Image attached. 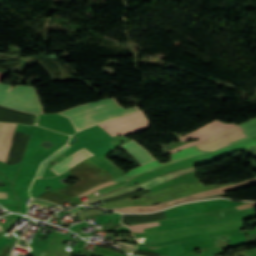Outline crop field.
Masks as SVG:
<instances>
[{"instance_id": "8a807250", "label": "crop field", "mask_w": 256, "mask_h": 256, "mask_svg": "<svg viewBox=\"0 0 256 256\" xmlns=\"http://www.w3.org/2000/svg\"><path fill=\"white\" fill-rule=\"evenodd\" d=\"M71 176L80 181L67 187L48 191L39 198L49 200L51 202H62L73 198L74 196L104 182L115 179L108 172L96 165L92 161L86 159L70 169Z\"/></svg>"}, {"instance_id": "ac0d7876", "label": "crop field", "mask_w": 256, "mask_h": 256, "mask_svg": "<svg viewBox=\"0 0 256 256\" xmlns=\"http://www.w3.org/2000/svg\"><path fill=\"white\" fill-rule=\"evenodd\" d=\"M137 110H139V108L136 106L124 109L117 104L115 98H110L84 104L58 114L69 117L76 131H80L93 124Z\"/></svg>"}, {"instance_id": "34b2d1b8", "label": "crop field", "mask_w": 256, "mask_h": 256, "mask_svg": "<svg viewBox=\"0 0 256 256\" xmlns=\"http://www.w3.org/2000/svg\"><path fill=\"white\" fill-rule=\"evenodd\" d=\"M0 105L36 114H43L35 87L0 84Z\"/></svg>"}, {"instance_id": "412701ff", "label": "crop field", "mask_w": 256, "mask_h": 256, "mask_svg": "<svg viewBox=\"0 0 256 256\" xmlns=\"http://www.w3.org/2000/svg\"><path fill=\"white\" fill-rule=\"evenodd\" d=\"M231 184H225V185H212V186H205L202 182L194 183L187 185L185 183H179L170 187H167L165 189L153 192L151 194H148L146 196H143L141 199L134 200H124L123 202L129 206V205H151L160 201L173 199L213 188L223 187Z\"/></svg>"}, {"instance_id": "f4fd0767", "label": "crop field", "mask_w": 256, "mask_h": 256, "mask_svg": "<svg viewBox=\"0 0 256 256\" xmlns=\"http://www.w3.org/2000/svg\"><path fill=\"white\" fill-rule=\"evenodd\" d=\"M112 137L121 136L132 132L133 134L148 128L146 118L142 112H137L129 116L113 120L99 125Z\"/></svg>"}, {"instance_id": "dd49c442", "label": "crop field", "mask_w": 256, "mask_h": 256, "mask_svg": "<svg viewBox=\"0 0 256 256\" xmlns=\"http://www.w3.org/2000/svg\"><path fill=\"white\" fill-rule=\"evenodd\" d=\"M232 126H235L234 124H231V125H227V124H223L217 120L199 128L198 130L190 133V134H187L185 136H182L180 137V140L181 142L183 141H186L190 138H193V139H196L199 137V141H196V142H192V143H189V144H185V145H182L180 147H177L173 150H171L170 152L174 153L178 150H181V149H184V148H187V147H190V146H193V145H197L205 140H207L208 138L232 127Z\"/></svg>"}, {"instance_id": "e52e79f7", "label": "crop field", "mask_w": 256, "mask_h": 256, "mask_svg": "<svg viewBox=\"0 0 256 256\" xmlns=\"http://www.w3.org/2000/svg\"><path fill=\"white\" fill-rule=\"evenodd\" d=\"M192 171H195L193 167L183 169V170H179V171H175V172H171V173L165 174L163 176L150 179V180H148V181H146V182H144V183H142L138 186H134V187H130V188H122L120 190L114 191V192L109 193L107 195L97 197V198H93V199L85 202L84 204L94 203V202H97V201H100V200H103V199H106V198L114 197V196H117V195H121V194H124V193L135 191V190H138V189H141V188H143L145 190V189L154 187V186H156V185H158V184H160V183H162L166 180L174 178L178 175L184 174L186 172H192Z\"/></svg>"}, {"instance_id": "d8731c3e", "label": "crop field", "mask_w": 256, "mask_h": 256, "mask_svg": "<svg viewBox=\"0 0 256 256\" xmlns=\"http://www.w3.org/2000/svg\"><path fill=\"white\" fill-rule=\"evenodd\" d=\"M242 131L244 130L239 125H237L205 141L204 143L197 145V147L204 151H214L216 149L228 145V143L232 141L245 137Z\"/></svg>"}, {"instance_id": "5a996713", "label": "crop field", "mask_w": 256, "mask_h": 256, "mask_svg": "<svg viewBox=\"0 0 256 256\" xmlns=\"http://www.w3.org/2000/svg\"><path fill=\"white\" fill-rule=\"evenodd\" d=\"M198 154H202V152H200L195 146H193V147L187 148L185 150L179 151V152H177L173 155H170L168 157H171V161L174 162V161H177V160H180V159H183V158H187V157H191V156H195V155H198ZM172 162H169V163H172ZM169 163L160 164L157 160L152 161V162L144 164L143 166H139V167L133 169L132 171L126 173V175L129 178H131V177H133L137 174L155 169L157 167H160V166H163V165H166V164H169Z\"/></svg>"}, {"instance_id": "3316defc", "label": "crop field", "mask_w": 256, "mask_h": 256, "mask_svg": "<svg viewBox=\"0 0 256 256\" xmlns=\"http://www.w3.org/2000/svg\"><path fill=\"white\" fill-rule=\"evenodd\" d=\"M16 124L3 123L0 132V161H6L8 151L10 149L11 138Z\"/></svg>"}, {"instance_id": "28ad6ade", "label": "crop field", "mask_w": 256, "mask_h": 256, "mask_svg": "<svg viewBox=\"0 0 256 256\" xmlns=\"http://www.w3.org/2000/svg\"><path fill=\"white\" fill-rule=\"evenodd\" d=\"M91 155L93 154L83 148L50 169L59 175Z\"/></svg>"}, {"instance_id": "d1516ede", "label": "crop field", "mask_w": 256, "mask_h": 256, "mask_svg": "<svg viewBox=\"0 0 256 256\" xmlns=\"http://www.w3.org/2000/svg\"><path fill=\"white\" fill-rule=\"evenodd\" d=\"M121 147L133 155L140 164L154 160L153 157L145 149H143L133 140L127 142Z\"/></svg>"}, {"instance_id": "22f410ed", "label": "crop field", "mask_w": 256, "mask_h": 256, "mask_svg": "<svg viewBox=\"0 0 256 256\" xmlns=\"http://www.w3.org/2000/svg\"><path fill=\"white\" fill-rule=\"evenodd\" d=\"M159 225L158 222L130 226L133 232H144L143 228Z\"/></svg>"}, {"instance_id": "cbeb9de0", "label": "crop field", "mask_w": 256, "mask_h": 256, "mask_svg": "<svg viewBox=\"0 0 256 256\" xmlns=\"http://www.w3.org/2000/svg\"><path fill=\"white\" fill-rule=\"evenodd\" d=\"M70 147V145H66L62 150H60V151H58L56 154H54L52 157H50L48 160H46L45 162H44V164L42 165V167H41V169H40V171H39V173H38V175H37V177L36 178H39V177H41L42 176V173H43V170H44V168H45V166H46V164L48 163V162H50L53 158H55L58 154H60L61 152H63V151H65L67 148H69Z\"/></svg>"}, {"instance_id": "5142ce71", "label": "crop field", "mask_w": 256, "mask_h": 256, "mask_svg": "<svg viewBox=\"0 0 256 256\" xmlns=\"http://www.w3.org/2000/svg\"><path fill=\"white\" fill-rule=\"evenodd\" d=\"M114 183H117V182L110 181V182H107V183H103V184H101V185H99L97 187H94V188H92V189H90V190H88V191L78 195L77 197L82 198L84 196L89 195L90 193L94 192L95 190H97V189H99L101 187H104V186H107V185H110V184H114Z\"/></svg>"}, {"instance_id": "d9b57169", "label": "crop field", "mask_w": 256, "mask_h": 256, "mask_svg": "<svg viewBox=\"0 0 256 256\" xmlns=\"http://www.w3.org/2000/svg\"><path fill=\"white\" fill-rule=\"evenodd\" d=\"M11 243H7L0 249V256H9L11 253Z\"/></svg>"}, {"instance_id": "733c2abd", "label": "crop field", "mask_w": 256, "mask_h": 256, "mask_svg": "<svg viewBox=\"0 0 256 256\" xmlns=\"http://www.w3.org/2000/svg\"><path fill=\"white\" fill-rule=\"evenodd\" d=\"M212 204L215 203H227V204H231V205H235V206H239V205H243V204H247L248 202H233V201H228V200H211L210 201Z\"/></svg>"}, {"instance_id": "4a817a6b", "label": "crop field", "mask_w": 256, "mask_h": 256, "mask_svg": "<svg viewBox=\"0 0 256 256\" xmlns=\"http://www.w3.org/2000/svg\"><path fill=\"white\" fill-rule=\"evenodd\" d=\"M126 206L122 201L112 202L105 205H101V207L110 208V207H120Z\"/></svg>"}, {"instance_id": "bc2a9ffb", "label": "crop field", "mask_w": 256, "mask_h": 256, "mask_svg": "<svg viewBox=\"0 0 256 256\" xmlns=\"http://www.w3.org/2000/svg\"><path fill=\"white\" fill-rule=\"evenodd\" d=\"M100 212H102V211H98V210H95V209L89 210V211H86V212H82L81 213V218L86 217V216H90V215H94V214H97V213H100Z\"/></svg>"}, {"instance_id": "214f88e0", "label": "crop field", "mask_w": 256, "mask_h": 256, "mask_svg": "<svg viewBox=\"0 0 256 256\" xmlns=\"http://www.w3.org/2000/svg\"><path fill=\"white\" fill-rule=\"evenodd\" d=\"M239 254H241V253H238V254H235V255H239ZM242 254L244 256H256V250L244 251V252H242Z\"/></svg>"}, {"instance_id": "92a150f3", "label": "crop field", "mask_w": 256, "mask_h": 256, "mask_svg": "<svg viewBox=\"0 0 256 256\" xmlns=\"http://www.w3.org/2000/svg\"><path fill=\"white\" fill-rule=\"evenodd\" d=\"M0 198H7V193L0 192Z\"/></svg>"}, {"instance_id": "dafd665d", "label": "crop field", "mask_w": 256, "mask_h": 256, "mask_svg": "<svg viewBox=\"0 0 256 256\" xmlns=\"http://www.w3.org/2000/svg\"><path fill=\"white\" fill-rule=\"evenodd\" d=\"M4 74H0V81L2 80V78L4 77Z\"/></svg>"}, {"instance_id": "00972430", "label": "crop field", "mask_w": 256, "mask_h": 256, "mask_svg": "<svg viewBox=\"0 0 256 256\" xmlns=\"http://www.w3.org/2000/svg\"><path fill=\"white\" fill-rule=\"evenodd\" d=\"M1 124H2V123H0V127H1Z\"/></svg>"}]
</instances>
